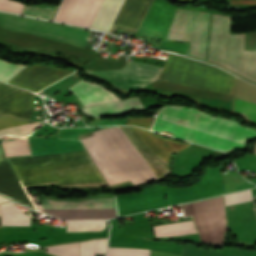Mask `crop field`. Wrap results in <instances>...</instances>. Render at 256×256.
Segmentation results:
<instances>
[{
  "label": "crop field",
  "mask_w": 256,
  "mask_h": 256,
  "mask_svg": "<svg viewBox=\"0 0 256 256\" xmlns=\"http://www.w3.org/2000/svg\"><path fill=\"white\" fill-rule=\"evenodd\" d=\"M179 108L165 107L156 127L154 125L155 129L154 127L153 129L158 132L161 129L168 131ZM237 126L238 124L234 121L212 117L197 109L181 107L169 131L173 132L172 136L225 151ZM255 137L254 129L238 126L227 150L242 149L245 141Z\"/></svg>",
  "instance_id": "8a807250"
},
{
  "label": "crop field",
  "mask_w": 256,
  "mask_h": 256,
  "mask_svg": "<svg viewBox=\"0 0 256 256\" xmlns=\"http://www.w3.org/2000/svg\"><path fill=\"white\" fill-rule=\"evenodd\" d=\"M9 162L22 185L104 182L86 151L12 159Z\"/></svg>",
  "instance_id": "ac0d7876"
},
{
  "label": "crop field",
  "mask_w": 256,
  "mask_h": 256,
  "mask_svg": "<svg viewBox=\"0 0 256 256\" xmlns=\"http://www.w3.org/2000/svg\"><path fill=\"white\" fill-rule=\"evenodd\" d=\"M93 137L81 139L86 149L127 139L119 127L94 132ZM105 179L151 168L129 139L88 149Z\"/></svg>",
  "instance_id": "34b2d1b8"
},
{
  "label": "crop field",
  "mask_w": 256,
  "mask_h": 256,
  "mask_svg": "<svg viewBox=\"0 0 256 256\" xmlns=\"http://www.w3.org/2000/svg\"><path fill=\"white\" fill-rule=\"evenodd\" d=\"M229 20L212 13L207 60L256 82V51H243L244 34H228Z\"/></svg>",
  "instance_id": "412701ff"
},
{
  "label": "crop field",
  "mask_w": 256,
  "mask_h": 256,
  "mask_svg": "<svg viewBox=\"0 0 256 256\" xmlns=\"http://www.w3.org/2000/svg\"><path fill=\"white\" fill-rule=\"evenodd\" d=\"M0 27L85 47L88 30L0 13Z\"/></svg>",
  "instance_id": "f4fd0767"
},
{
  "label": "crop field",
  "mask_w": 256,
  "mask_h": 256,
  "mask_svg": "<svg viewBox=\"0 0 256 256\" xmlns=\"http://www.w3.org/2000/svg\"><path fill=\"white\" fill-rule=\"evenodd\" d=\"M209 12L177 8L166 38L191 41L189 56L205 60Z\"/></svg>",
  "instance_id": "dd49c442"
},
{
  "label": "crop field",
  "mask_w": 256,
  "mask_h": 256,
  "mask_svg": "<svg viewBox=\"0 0 256 256\" xmlns=\"http://www.w3.org/2000/svg\"><path fill=\"white\" fill-rule=\"evenodd\" d=\"M121 128L159 176L170 172L167 169L170 154L172 152H179L188 146V144L154 135L141 129Z\"/></svg>",
  "instance_id": "e52e79f7"
},
{
  "label": "crop field",
  "mask_w": 256,
  "mask_h": 256,
  "mask_svg": "<svg viewBox=\"0 0 256 256\" xmlns=\"http://www.w3.org/2000/svg\"><path fill=\"white\" fill-rule=\"evenodd\" d=\"M41 210L61 219H106L117 216L114 198L76 201L44 199Z\"/></svg>",
  "instance_id": "d8731c3e"
},
{
  "label": "crop field",
  "mask_w": 256,
  "mask_h": 256,
  "mask_svg": "<svg viewBox=\"0 0 256 256\" xmlns=\"http://www.w3.org/2000/svg\"><path fill=\"white\" fill-rule=\"evenodd\" d=\"M160 66L129 62L120 68L105 71H87L108 82L125 89H139L156 80Z\"/></svg>",
  "instance_id": "5a996713"
},
{
  "label": "crop field",
  "mask_w": 256,
  "mask_h": 256,
  "mask_svg": "<svg viewBox=\"0 0 256 256\" xmlns=\"http://www.w3.org/2000/svg\"><path fill=\"white\" fill-rule=\"evenodd\" d=\"M72 72L47 65H30L8 83L37 92Z\"/></svg>",
  "instance_id": "3316defc"
},
{
  "label": "crop field",
  "mask_w": 256,
  "mask_h": 256,
  "mask_svg": "<svg viewBox=\"0 0 256 256\" xmlns=\"http://www.w3.org/2000/svg\"><path fill=\"white\" fill-rule=\"evenodd\" d=\"M102 0H61L53 20L89 27Z\"/></svg>",
  "instance_id": "28ad6ade"
},
{
  "label": "crop field",
  "mask_w": 256,
  "mask_h": 256,
  "mask_svg": "<svg viewBox=\"0 0 256 256\" xmlns=\"http://www.w3.org/2000/svg\"><path fill=\"white\" fill-rule=\"evenodd\" d=\"M33 94L0 84V113L29 119Z\"/></svg>",
  "instance_id": "d1516ede"
},
{
  "label": "crop field",
  "mask_w": 256,
  "mask_h": 256,
  "mask_svg": "<svg viewBox=\"0 0 256 256\" xmlns=\"http://www.w3.org/2000/svg\"><path fill=\"white\" fill-rule=\"evenodd\" d=\"M0 195L33 207L7 160L0 162Z\"/></svg>",
  "instance_id": "22f410ed"
},
{
  "label": "crop field",
  "mask_w": 256,
  "mask_h": 256,
  "mask_svg": "<svg viewBox=\"0 0 256 256\" xmlns=\"http://www.w3.org/2000/svg\"><path fill=\"white\" fill-rule=\"evenodd\" d=\"M67 90L75 93L83 102L84 106L119 100L118 97L113 95L114 93L112 94L103 87L82 80Z\"/></svg>",
  "instance_id": "cbeb9de0"
},
{
  "label": "crop field",
  "mask_w": 256,
  "mask_h": 256,
  "mask_svg": "<svg viewBox=\"0 0 256 256\" xmlns=\"http://www.w3.org/2000/svg\"><path fill=\"white\" fill-rule=\"evenodd\" d=\"M151 0H125L114 24L137 29Z\"/></svg>",
  "instance_id": "5142ce71"
},
{
  "label": "crop field",
  "mask_w": 256,
  "mask_h": 256,
  "mask_svg": "<svg viewBox=\"0 0 256 256\" xmlns=\"http://www.w3.org/2000/svg\"><path fill=\"white\" fill-rule=\"evenodd\" d=\"M140 107L141 105L137 97H130L126 100L119 101V102L86 107V108H83V110L88 115L99 117L101 115L124 112V111L132 110Z\"/></svg>",
  "instance_id": "d9b57169"
},
{
  "label": "crop field",
  "mask_w": 256,
  "mask_h": 256,
  "mask_svg": "<svg viewBox=\"0 0 256 256\" xmlns=\"http://www.w3.org/2000/svg\"><path fill=\"white\" fill-rule=\"evenodd\" d=\"M124 0H104L91 27L109 31Z\"/></svg>",
  "instance_id": "733c2abd"
},
{
  "label": "crop field",
  "mask_w": 256,
  "mask_h": 256,
  "mask_svg": "<svg viewBox=\"0 0 256 256\" xmlns=\"http://www.w3.org/2000/svg\"><path fill=\"white\" fill-rule=\"evenodd\" d=\"M2 225H29V215L13 203L0 205Z\"/></svg>",
  "instance_id": "4a817a6b"
},
{
  "label": "crop field",
  "mask_w": 256,
  "mask_h": 256,
  "mask_svg": "<svg viewBox=\"0 0 256 256\" xmlns=\"http://www.w3.org/2000/svg\"><path fill=\"white\" fill-rule=\"evenodd\" d=\"M32 123V121H22L15 118L7 117V116H0V130L8 129L24 124ZM37 126H39V123H32L8 130L0 131V135L3 134H14V135H26L33 129H35Z\"/></svg>",
  "instance_id": "bc2a9ffb"
},
{
  "label": "crop field",
  "mask_w": 256,
  "mask_h": 256,
  "mask_svg": "<svg viewBox=\"0 0 256 256\" xmlns=\"http://www.w3.org/2000/svg\"><path fill=\"white\" fill-rule=\"evenodd\" d=\"M156 236H170L197 232L192 220L153 227Z\"/></svg>",
  "instance_id": "214f88e0"
},
{
  "label": "crop field",
  "mask_w": 256,
  "mask_h": 256,
  "mask_svg": "<svg viewBox=\"0 0 256 256\" xmlns=\"http://www.w3.org/2000/svg\"><path fill=\"white\" fill-rule=\"evenodd\" d=\"M106 239H95L79 242L80 256H94V253L104 254Z\"/></svg>",
  "instance_id": "92a150f3"
},
{
  "label": "crop field",
  "mask_w": 256,
  "mask_h": 256,
  "mask_svg": "<svg viewBox=\"0 0 256 256\" xmlns=\"http://www.w3.org/2000/svg\"><path fill=\"white\" fill-rule=\"evenodd\" d=\"M104 227L105 221H67V231H99Z\"/></svg>",
  "instance_id": "dafd665d"
},
{
  "label": "crop field",
  "mask_w": 256,
  "mask_h": 256,
  "mask_svg": "<svg viewBox=\"0 0 256 256\" xmlns=\"http://www.w3.org/2000/svg\"><path fill=\"white\" fill-rule=\"evenodd\" d=\"M55 8L54 5L25 6L23 14L51 19Z\"/></svg>",
  "instance_id": "00972430"
},
{
  "label": "crop field",
  "mask_w": 256,
  "mask_h": 256,
  "mask_svg": "<svg viewBox=\"0 0 256 256\" xmlns=\"http://www.w3.org/2000/svg\"><path fill=\"white\" fill-rule=\"evenodd\" d=\"M47 250L58 256H79L78 243L49 246Z\"/></svg>",
  "instance_id": "a9b5d70f"
},
{
  "label": "crop field",
  "mask_w": 256,
  "mask_h": 256,
  "mask_svg": "<svg viewBox=\"0 0 256 256\" xmlns=\"http://www.w3.org/2000/svg\"><path fill=\"white\" fill-rule=\"evenodd\" d=\"M234 110L243 112L248 119L256 122V103L235 99Z\"/></svg>",
  "instance_id": "4177f3b9"
},
{
  "label": "crop field",
  "mask_w": 256,
  "mask_h": 256,
  "mask_svg": "<svg viewBox=\"0 0 256 256\" xmlns=\"http://www.w3.org/2000/svg\"><path fill=\"white\" fill-rule=\"evenodd\" d=\"M25 67L26 66L12 65V64L0 61V80L7 82L9 79L14 77L17 73H19Z\"/></svg>",
  "instance_id": "730fd06b"
},
{
  "label": "crop field",
  "mask_w": 256,
  "mask_h": 256,
  "mask_svg": "<svg viewBox=\"0 0 256 256\" xmlns=\"http://www.w3.org/2000/svg\"><path fill=\"white\" fill-rule=\"evenodd\" d=\"M107 256H149V250L108 248Z\"/></svg>",
  "instance_id": "eef30255"
},
{
  "label": "crop field",
  "mask_w": 256,
  "mask_h": 256,
  "mask_svg": "<svg viewBox=\"0 0 256 256\" xmlns=\"http://www.w3.org/2000/svg\"><path fill=\"white\" fill-rule=\"evenodd\" d=\"M224 198H225L226 205L249 201L251 200V191L248 190V191H243L238 193L226 194L224 195Z\"/></svg>",
  "instance_id": "ae1a2a85"
},
{
  "label": "crop field",
  "mask_w": 256,
  "mask_h": 256,
  "mask_svg": "<svg viewBox=\"0 0 256 256\" xmlns=\"http://www.w3.org/2000/svg\"><path fill=\"white\" fill-rule=\"evenodd\" d=\"M155 118L152 117H128L126 125H134L144 128H151Z\"/></svg>",
  "instance_id": "d3111659"
},
{
  "label": "crop field",
  "mask_w": 256,
  "mask_h": 256,
  "mask_svg": "<svg viewBox=\"0 0 256 256\" xmlns=\"http://www.w3.org/2000/svg\"><path fill=\"white\" fill-rule=\"evenodd\" d=\"M23 8V4L12 0H0V10H6L11 12L20 13Z\"/></svg>",
  "instance_id": "750c4746"
},
{
  "label": "crop field",
  "mask_w": 256,
  "mask_h": 256,
  "mask_svg": "<svg viewBox=\"0 0 256 256\" xmlns=\"http://www.w3.org/2000/svg\"><path fill=\"white\" fill-rule=\"evenodd\" d=\"M230 3L256 4V1H253V0H230Z\"/></svg>",
  "instance_id": "bd1437ed"
},
{
  "label": "crop field",
  "mask_w": 256,
  "mask_h": 256,
  "mask_svg": "<svg viewBox=\"0 0 256 256\" xmlns=\"http://www.w3.org/2000/svg\"><path fill=\"white\" fill-rule=\"evenodd\" d=\"M8 201L9 200H6V199L0 197V203H5V202H8Z\"/></svg>",
  "instance_id": "1d83c4d3"
},
{
  "label": "crop field",
  "mask_w": 256,
  "mask_h": 256,
  "mask_svg": "<svg viewBox=\"0 0 256 256\" xmlns=\"http://www.w3.org/2000/svg\"><path fill=\"white\" fill-rule=\"evenodd\" d=\"M22 145H27V144H21V145H9V146H3V147H10V146H22Z\"/></svg>",
  "instance_id": "120bbe31"
}]
</instances>
